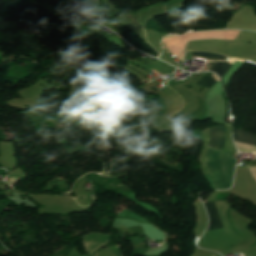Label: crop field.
<instances>
[{"instance_id":"crop-field-1","label":"crop field","mask_w":256,"mask_h":256,"mask_svg":"<svg viewBox=\"0 0 256 256\" xmlns=\"http://www.w3.org/2000/svg\"><path fill=\"white\" fill-rule=\"evenodd\" d=\"M122 38H124L127 42H129L131 45L135 46L136 48L152 55V56H157L158 53L156 52L155 49L150 47L148 44L145 42H142L140 39L136 37L134 33H132L130 30H126L120 35Z\"/></svg>"},{"instance_id":"crop-field-2","label":"crop field","mask_w":256,"mask_h":256,"mask_svg":"<svg viewBox=\"0 0 256 256\" xmlns=\"http://www.w3.org/2000/svg\"><path fill=\"white\" fill-rule=\"evenodd\" d=\"M227 126H215L210 128V141L208 146L222 150L224 147L225 132Z\"/></svg>"},{"instance_id":"crop-field-3","label":"crop field","mask_w":256,"mask_h":256,"mask_svg":"<svg viewBox=\"0 0 256 256\" xmlns=\"http://www.w3.org/2000/svg\"><path fill=\"white\" fill-rule=\"evenodd\" d=\"M64 19L67 20V22L73 24V25H76V26H79L80 24L83 25V26H89L91 28H93L96 23L92 22L91 20H89L85 14L83 12L75 15L73 13V11H69L68 13L64 14L63 16Z\"/></svg>"},{"instance_id":"crop-field-4","label":"crop field","mask_w":256,"mask_h":256,"mask_svg":"<svg viewBox=\"0 0 256 256\" xmlns=\"http://www.w3.org/2000/svg\"><path fill=\"white\" fill-rule=\"evenodd\" d=\"M204 205L210 217V225L208 227V230L223 227L215 203L204 202Z\"/></svg>"},{"instance_id":"crop-field-5","label":"crop field","mask_w":256,"mask_h":256,"mask_svg":"<svg viewBox=\"0 0 256 256\" xmlns=\"http://www.w3.org/2000/svg\"><path fill=\"white\" fill-rule=\"evenodd\" d=\"M212 63H213L212 61H207L206 64L211 66ZM231 66L232 65L230 63H224V62H214L212 65L213 68L218 69L216 73L220 76L221 79L228 72Z\"/></svg>"},{"instance_id":"crop-field-6","label":"crop field","mask_w":256,"mask_h":256,"mask_svg":"<svg viewBox=\"0 0 256 256\" xmlns=\"http://www.w3.org/2000/svg\"><path fill=\"white\" fill-rule=\"evenodd\" d=\"M234 139L256 144V136L250 135L241 129L234 130Z\"/></svg>"},{"instance_id":"crop-field-7","label":"crop field","mask_w":256,"mask_h":256,"mask_svg":"<svg viewBox=\"0 0 256 256\" xmlns=\"http://www.w3.org/2000/svg\"><path fill=\"white\" fill-rule=\"evenodd\" d=\"M192 57H200L204 59L223 60V61H230L231 59L216 53H205V52H193Z\"/></svg>"},{"instance_id":"crop-field-8","label":"crop field","mask_w":256,"mask_h":256,"mask_svg":"<svg viewBox=\"0 0 256 256\" xmlns=\"http://www.w3.org/2000/svg\"><path fill=\"white\" fill-rule=\"evenodd\" d=\"M218 81L212 75H206L197 84L202 85L209 89V87ZM212 87V86H211Z\"/></svg>"},{"instance_id":"crop-field-9","label":"crop field","mask_w":256,"mask_h":256,"mask_svg":"<svg viewBox=\"0 0 256 256\" xmlns=\"http://www.w3.org/2000/svg\"><path fill=\"white\" fill-rule=\"evenodd\" d=\"M43 1H45V0H31L30 2L39 6Z\"/></svg>"},{"instance_id":"crop-field-10","label":"crop field","mask_w":256,"mask_h":256,"mask_svg":"<svg viewBox=\"0 0 256 256\" xmlns=\"http://www.w3.org/2000/svg\"><path fill=\"white\" fill-rule=\"evenodd\" d=\"M79 4L82 3H87V2H92V1H97V0H77Z\"/></svg>"},{"instance_id":"crop-field-11","label":"crop field","mask_w":256,"mask_h":256,"mask_svg":"<svg viewBox=\"0 0 256 256\" xmlns=\"http://www.w3.org/2000/svg\"><path fill=\"white\" fill-rule=\"evenodd\" d=\"M184 49L185 48H183L181 51H179L177 54H175L174 56L177 58L179 55H181L183 52H184Z\"/></svg>"},{"instance_id":"crop-field-12","label":"crop field","mask_w":256,"mask_h":256,"mask_svg":"<svg viewBox=\"0 0 256 256\" xmlns=\"http://www.w3.org/2000/svg\"><path fill=\"white\" fill-rule=\"evenodd\" d=\"M234 158L236 159V153H235V156H234Z\"/></svg>"}]
</instances>
